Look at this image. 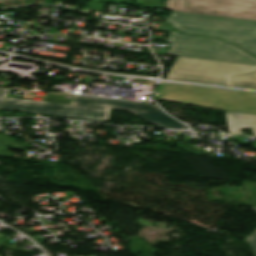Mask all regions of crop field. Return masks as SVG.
I'll return each mask as SVG.
<instances>
[{
  "label": "crop field",
  "mask_w": 256,
  "mask_h": 256,
  "mask_svg": "<svg viewBox=\"0 0 256 256\" xmlns=\"http://www.w3.org/2000/svg\"><path fill=\"white\" fill-rule=\"evenodd\" d=\"M165 20L182 33L219 37L256 54V21L176 11Z\"/></svg>",
  "instance_id": "crop-field-3"
},
{
  "label": "crop field",
  "mask_w": 256,
  "mask_h": 256,
  "mask_svg": "<svg viewBox=\"0 0 256 256\" xmlns=\"http://www.w3.org/2000/svg\"><path fill=\"white\" fill-rule=\"evenodd\" d=\"M229 133L245 135L239 129L252 128L256 136V114L226 111Z\"/></svg>",
  "instance_id": "crop-field-7"
},
{
  "label": "crop field",
  "mask_w": 256,
  "mask_h": 256,
  "mask_svg": "<svg viewBox=\"0 0 256 256\" xmlns=\"http://www.w3.org/2000/svg\"><path fill=\"white\" fill-rule=\"evenodd\" d=\"M166 79L256 89V65L178 57Z\"/></svg>",
  "instance_id": "crop-field-2"
},
{
  "label": "crop field",
  "mask_w": 256,
  "mask_h": 256,
  "mask_svg": "<svg viewBox=\"0 0 256 256\" xmlns=\"http://www.w3.org/2000/svg\"><path fill=\"white\" fill-rule=\"evenodd\" d=\"M156 30L170 32L168 44H171V46L169 51L153 49L155 53L256 64L255 57L225 41L183 35L173 31L165 23H162ZM213 46L217 47L216 50L212 49Z\"/></svg>",
  "instance_id": "crop-field-5"
},
{
  "label": "crop field",
  "mask_w": 256,
  "mask_h": 256,
  "mask_svg": "<svg viewBox=\"0 0 256 256\" xmlns=\"http://www.w3.org/2000/svg\"><path fill=\"white\" fill-rule=\"evenodd\" d=\"M167 10L256 20V0H166Z\"/></svg>",
  "instance_id": "crop-field-6"
},
{
  "label": "crop field",
  "mask_w": 256,
  "mask_h": 256,
  "mask_svg": "<svg viewBox=\"0 0 256 256\" xmlns=\"http://www.w3.org/2000/svg\"><path fill=\"white\" fill-rule=\"evenodd\" d=\"M254 210L256 211V207H253ZM245 242L249 243L256 255V230L245 239Z\"/></svg>",
  "instance_id": "crop-field-9"
},
{
  "label": "crop field",
  "mask_w": 256,
  "mask_h": 256,
  "mask_svg": "<svg viewBox=\"0 0 256 256\" xmlns=\"http://www.w3.org/2000/svg\"><path fill=\"white\" fill-rule=\"evenodd\" d=\"M211 89V88H209ZM155 94L162 101L230 111L256 113V94L240 93L203 87L159 85ZM214 109V108H213Z\"/></svg>",
  "instance_id": "crop-field-4"
},
{
  "label": "crop field",
  "mask_w": 256,
  "mask_h": 256,
  "mask_svg": "<svg viewBox=\"0 0 256 256\" xmlns=\"http://www.w3.org/2000/svg\"><path fill=\"white\" fill-rule=\"evenodd\" d=\"M0 142L9 144L11 142V139L8 135L0 134ZM0 155L13 157L12 154L2 146H0Z\"/></svg>",
  "instance_id": "crop-field-8"
},
{
  "label": "crop field",
  "mask_w": 256,
  "mask_h": 256,
  "mask_svg": "<svg viewBox=\"0 0 256 256\" xmlns=\"http://www.w3.org/2000/svg\"><path fill=\"white\" fill-rule=\"evenodd\" d=\"M10 89L0 88V109H20L24 112L89 118L109 121L111 108L133 112L144 120L161 127L187 129V126L164 114L157 105L48 94L42 101L6 97Z\"/></svg>",
  "instance_id": "crop-field-1"
}]
</instances>
